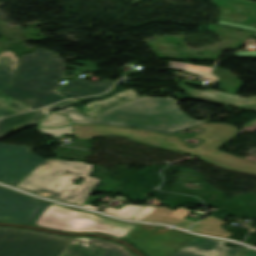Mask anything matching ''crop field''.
<instances>
[{"label":"crop field","mask_w":256,"mask_h":256,"mask_svg":"<svg viewBox=\"0 0 256 256\" xmlns=\"http://www.w3.org/2000/svg\"><path fill=\"white\" fill-rule=\"evenodd\" d=\"M137 97L139 96L136 94L135 90L129 89V90L120 92L119 94L114 95L104 101H92L88 103L86 106L78 107L77 110L86 116L95 118V116L98 113Z\"/></svg>","instance_id":"13"},{"label":"crop field","mask_w":256,"mask_h":256,"mask_svg":"<svg viewBox=\"0 0 256 256\" xmlns=\"http://www.w3.org/2000/svg\"><path fill=\"white\" fill-rule=\"evenodd\" d=\"M49 204L0 187V221L33 225Z\"/></svg>","instance_id":"9"},{"label":"crop field","mask_w":256,"mask_h":256,"mask_svg":"<svg viewBox=\"0 0 256 256\" xmlns=\"http://www.w3.org/2000/svg\"><path fill=\"white\" fill-rule=\"evenodd\" d=\"M35 225L62 231L100 232L120 238L136 227L53 203L40 216Z\"/></svg>","instance_id":"6"},{"label":"crop field","mask_w":256,"mask_h":256,"mask_svg":"<svg viewBox=\"0 0 256 256\" xmlns=\"http://www.w3.org/2000/svg\"><path fill=\"white\" fill-rule=\"evenodd\" d=\"M45 115L39 110L1 119L0 120V138L5 137L8 133L19 130L42 120Z\"/></svg>","instance_id":"16"},{"label":"crop field","mask_w":256,"mask_h":256,"mask_svg":"<svg viewBox=\"0 0 256 256\" xmlns=\"http://www.w3.org/2000/svg\"><path fill=\"white\" fill-rule=\"evenodd\" d=\"M191 210L179 207L172 211L166 207H157L144 221L165 222L184 229H187L195 222L183 219Z\"/></svg>","instance_id":"14"},{"label":"crop field","mask_w":256,"mask_h":256,"mask_svg":"<svg viewBox=\"0 0 256 256\" xmlns=\"http://www.w3.org/2000/svg\"><path fill=\"white\" fill-rule=\"evenodd\" d=\"M198 126L206 130L194 137L206 141L192 149L175 134L164 136L148 131L104 125H73V131L74 138L86 140L93 137L121 135L137 142L172 149L187 155L198 156L207 162L227 169L256 174V163L217 150L238 135L237 127L217 123H207Z\"/></svg>","instance_id":"1"},{"label":"crop field","mask_w":256,"mask_h":256,"mask_svg":"<svg viewBox=\"0 0 256 256\" xmlns=\"http://www.w3.org/2000/svg\"><path fill=\"white\" fill-rule=\"evenodd\" d=\"M32 147L0 144V182L15 186L45 159Z\"/></svg>","instance_id":"8"},{"label":"crop field","mask_w":256,"mask_h":256,"mask_svg":"<svg viewBox=\"0 0 256 256\" xmlns=\"http://www.w3.org/2000/svg\"><path fill=\"white\" fill-rule=\"evenodd\" d=\"M113 84V82H89L77 79L62 88L61 92L69 97H82L105 92Z\"/></svg>","instance_id":"15"},{"label":"crop field","mask_w":256,"mask_h":256,"mask_svg":"<svg viewBox=\"0 0 256 256\" xmlns=\"http://www.w3.org/2000/svg\"><path fill=\"white\" fill-rule=\"evenodd\" d=\"M117 85H118V84H116L115 87H114L112 90H110L108 93L113 92V91L116 89V86H117ZM108 93H106V94H108ZM104 95H105V94H104ZM104 95H101V96H98V97H102V96H104ZM86 99H88V98H86ZM86 99H78V100L83 101V100H86Z\"/></svg>","instance_id":"27"},{"label":"crop field","mask_w":256,"mask_h":256,"mask_svg":"<svg viewBox=\"0 0 256 256\" xmlns=\"http://www.w3.org/2000/svg\"><path fill=\"white\" fill-rule=\"evenodd\" d=\"M77 63L84 65L85 67L69 66V68L84 70L87 72H96V70H97V65L92 62L81 63V62L77 61Z\"/></svg>","instance_id":"23"},{"label":"crop field","mask_w":256,"mask_h":256,"mask_svg":"<svg viewBox=\"0 0 256 256\" xmlns=\"http://www.w3.org/2000/svg\"><path fill=\"white\" fill-rule=\"evenodd\" d=\"M75 238L0 227V256H62Z\"/></svg>","instance_id":"5"},{"label":"crop field","mask_w":256,"mask_h":256,"mask_svg":"<svg viewBox=\"0 0 256 256\" xmlns=\"http://www.w3.org/2000/svg\"><path fill=\"white\" fill-rule=\"evenodd\" d=\"M218 23L224 24V25H229V26H234V27H238V28H243V29H251V30L256 31V29H254L253 27H249V26H245V25H239V24L222 22V21H219ZM237 55H256V51L237 52Z\"/></svg>","instance_id":"22"},{"label":"crop field","mask_w":256,"mask_h":256,"mask_svg":"<svg viewBox=\"0 0 256 256\" xmlns=\"http://www.w3.org/2000/svg\"><path fill=\"white\" fill-rule=\"evenodd\" d=\"M194 236L175 229L139 224L122 239L136 244L147 256H170Z\"/></svg>","instance_id":"7"},{"label":"crop field","mask_w":256,"mask_h":256,"mask_svg":"<svg viewBox=\"0 0 256 256\" xmlns=\"http://www.w3.org/2000/svg\"><path fill=\"white\" fill-rule=\"evenodd\" d=\"M144 206H137V205H125L123 208L120 210L117 209H111V208H106L104 213L111 214L117 217L121 218H126L130 219L133 217L140 209H142Z\"/></svg>","instance_id":"21"},{"label":"crop field","mask_w":256,"mask_h":256,"mask_svg":"<svg viewBox=\"0 0 256 256\" xmlns=\"http://www.w3.org/2000/svg\"><path fill=\"white\" fill-rule=\"evenodd\" d=\"M213 74L220 78L219 82H221V89H226L228 91L227 94L220 93L214 90H207L206 92H202L199 90L189 88L182 83H179V85L185 92L189 93L190 95L196 98L220 105L231 104L234 106H239L246 110L256 112V97L241 98L232 95L242 85L240 80L236 76L223 69H214Z\"/></svg>","instance_id":"10"},{"label":"crop field","mask_w":256,"mask_h":256,"mask_svg":"<svg viewBox=\"0 0 256 256\" xmlns=\"http://www.w3.org/2000/svg\"><path fill=\"white\" fill-rule=\"evenodd\" d=\"M20 59L13 85L2 92L34 108L64 99L56 89L66 61L57 52L35 49L33 54H22Z\"/></svg>","instance_id":"3"},{"label":"crop field","mask_w":256,"mask_h":256,"mask_svg":"<svg viewBox=\"0 0 256 256\" xmlns=\"http://www.w3.org/2000/svg\"><path fill=\"white\" fill-rule=\"evenodd\" d=\"M224 224L226 223L220 220L219 218L210 215L207 218L203 219L190 230L201 234H209L227 238L232 233L220 227Z\"/></svg>","instance_id":"18"},{"label":"crop field","mask_w":256,"mask_h":256,"mask_svg":"<svg viewBox=\"0 0 256 256\" xmlns=\"http://www.w3.org/2000/svg\"><path fill=\"white\" fill-rule=\"evenodd\" d=\"M92 169V165L85 163L48 159L16 187L48 198L83 206L84 200L100 181L88 176ZM67 171L70 173L66 174ZM79 177L85 178L84 181L80 185L73 184ZM56 184L57 187L54 186ZM83 207L99 210L103 205L97 208L85 204Z\"/></svg>","instance_id":"4"},{"label":"crop field","mask_w":256,"mask_h":256,"mask_svg":"<svg viewBox=\"0 0 256 256\" xmlns=\"http://www.w3.org/2000/svg\"><path fill=\"white\" fill-rule=\"evenodd\" d=\"M11 114H14V113H11V112L0 109V118L4 117V116L11 115Z\"/></svg>","instance_id":"26"},{"label":"crop field","mask_w":256,"mask_h":256,"mask_svg":"<svg viewBox=\"0 0 256 256\" xmlns=\"http://www.w3.org/2000/svg\"><path fill=\"white\" fill-rule=\"evenodd\" d=\"M243 256H256V251L248 249Z\"/></svg>","instance_id":"25"},{"label":"crop field","mask_w":256,"mask_h":256,"mask_svg":"<svg viewBox=\"0 0 256 256\" xmlns=\"http://www.w3.org/2000/svg\"><path fill=\"white\" fill-rule=\"evenodd\" d=\"M250 58H256V57H250Z\"/></svg>","instance_id":"28"},{"label":"crop field","mask_w":256,"mask_h":256,"mask_svg":"<svg viewBox=\"0 0 256 256\" xmlns=\"http://www.w3.org/2000/svg\"><path fill=\"white\" fill-rule=\"evenodd\" d=\"M169 63H170L169 68L180 69L183 71L192 72V73L199 75L200 77L216 80V77L210 75V70L212 69L210 67L193 66V65L182 64V63H177V62H172V61H170Z\"/></svg>","instance_id":"19"},{"label":"crop field","mask_w":256,"mask_h":256,"mask_svg":"<svg viewBox=\"0 0 256 256\" xmlns=\"http://www.w3.org/2000/svg\"><path fill=\"white\" fill-rule=\"evenodd\" d=\"M0 108L14 112V113L34 109L29 106H26L24 103L20 101H17L13 98L8 97L7 95L1 92H0Z\"/></svg>","instance_id":"20"},{"label":"crop field","mask_w":256,"mask_h":256,"mask_svg":"<svg viewBox=\"0 0 256 256\" xmlns=\"http://www.w3.org/2000/svg\"><path fill=\"white\" fill-rule=\"evenodd\" d=\"M76 102L79 101L77 99L66 100L45 109L53 111L69 105L71 107L56 112L68 116L72 123L121 125L153 130L164 134H173L187 127L206 123L194 120L182 113L183 111L181 112L178 102L169 97L152 98L146 96L137 98L113 107L97 115L95 119L80 114L71 105Z\"/></svg>","instance_id":"2"},{"label":"crop field","mask_w":256,"mask_h":256,"mask_svg":"<svg viewBox=\"0 0 256 256\" xmlns=\"http://www.w3.org/2000/svg\"><path fill=\"white\" fill-rule=\"evenodd\" d=\"M224 241L196 236L171 256H241L244 249L223 246Z\"/></svg>","instance_id":"12"},{"label":"crop field","mask_w":256,"mask_h":256,"mask_svg":"<svg viewBox=\"0 0 256 256\" xmlns=\"http://www.w3.org/2000/svg\"><path fill=\"white\" fill-rule=\"evenodd\" d=\"M18 62V58L10 50L0 54V90L13 83Z\"/></svg>","instance_id":"17"},{"label":"crop field","mask_w":256,"mask_h":256,"mask_svg":"<svg viewBox=\"0 0 256 256\" xmlns=\"http://www.w3.org/2000/svg\"><path fill=\"white\" fill-rule=\"evenodd\" d=\"M155 208L156 207L145 206L143 210L133 218V220L143 221Z\"/></svg>","instance_id":"24"},{"label":"crop field","mask_w":256,"mask_h":256,"mask_svg":"<svg viewBox=\"0 0 256 256\" xmlns=\"http://www.w3.org/2000/svg\"><path fill=\"white\" fill-rule=\"evenodd\" d=\"M63 256H135L127 248L110 241L77 237Z\"/></svg>","instance_id":"11"}]
</instances>
